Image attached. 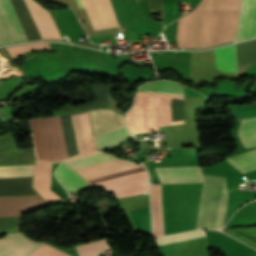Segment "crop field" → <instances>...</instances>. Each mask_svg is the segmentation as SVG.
<instances>
[{"label":"crop field","mask_w":256,"mask_h":256,"mask_svg":"<svg viewBox=\"0 0 256 256\" xmlns=\"http://www.w3.org/2000/svg\"><path fill=\"white\" fill-rule=\"evenodd\" d=\"M202 0L180 18L178 47L205 48L234 41L240 0ZM223 4V9H222ZM219 10L232 12L204 11Z\"/></svg>","instance_id":"8a807250"},{"label":"crop field","mask_w":256,"mask_h":256,"mask_svg":"<svg viewBox=\"0 0 256 256\" xmlns=\"http://www.w3.org/2000/svg\"><path fill=\"white\" fill-rule=\"evenodd\" d=\"M42 38L61 39L47 10L24 0ZM23 0H11L28 39L41 38ZM10 0H0V44L28 41Z\"/></svg>","instance_id":"ac0d7876"},{"label":"crop field","mask_w":256,"mask_h":256,"mask_svg":"<svg viewBox=\"0 0 256 256\" xmlns=\"http://www.w3.org/2000/svg\"><path fill=\"white\" fill-rule=\"evenodd\" d=\"M30 133L37 159L60 162L68 158L59 116L28 119Z\"/></svg>","instance_id":"34b2d1b8"},{"label":"crop field","mask_w":256,"mask_h":256,"mask_svg":"<svg viewBox=\"0 0 256 256\" xmlns=\"http://www.w3.org/2000/svg\"><path fill=\"white\" fill-rule=\"evenodd\" d=\"M202 178L203 187L196 229H215L223 178L204 174H202ZM227 199L224 178L216 229L223 226Z\"/></svg>","instance_id":"412701ff"},{"label":"crop field","mask_w":256,"mask_h":256,"mask_svg":"<svg viewBox=\"0 0 256 256\" xmlns=\"http://www.w3.org/2000/svg\"><path fill=\"white\" fill-rule=\"evenodd\" d=\"M164 256H207L204 230L164 236L156 240Z\"/></svg>","instance_id":"f4fd0767"},{"label":"crop field","mask_w":256,"mask_h":256,"mask_svg":"<svg viewBox=\"0 0 256 256\" xmlns=\"http://www.w3.org/2000/svg\"><path fill=\"white\" fill-rule=\"evenodd\" d=\"M72 117L80 153L95 149L88 112ZM72 117L60 116L69 157L79 154Z\"/></svg>","instance_id":"dd49c442"},{"label":"crop field","mask_w":256,"mask_h":256,"mask_svg":"<svg viewBox=\"0 0 256 256\" xmlns=\"http://www.w3.org/2000/svg\"><path fill=\"white\" fill-rule=\"evenodd\" d=\"M34 165L0 167V177L33 176ZM33 177L0 178V197L39 195Z\"/></svg>","instance_id":"e52e79f7"},{"label":"crop field","mask_w":256,"mask_h":256,"mask_svg":"<svg viewBox=\"0 0 256 256\" xmlns=\"http://www.w3.org/2000/svg\"><path fill=\"white\" fill-rule=\"evenodd\" d=\"M144 170V166L119 159L75 171L92 184Z\"/></svg>","instance_id":"d8731c3e"},{"label":"crop field","mask_w":256,"mask_h":256,"mask_svg":"<svg viewBox=\"0 0 256 256\" xmlns=\"http://www.w3.org/2000/svg\"><path fill=\"white\" fill-rule=\"evenodd\" d=\"M102 186L108 193L114 192L115 197H125L148 193V174L146 171L92 184Z\"/></svg>","instance_id":"5a996713"},{"label":"crop field","mask_w":256,"mask_h":256,"mask_svg":"<svg viewBox=\"0 0 256 256\" xmlns=\"http://www.w3.org/2000/svg\"><path fill=\"white\" fill-rule=\"evenodd\" d=\"M241 137L256 136V118L242 120L240 126ZM246 148L256 147V137L242 139ZM227 161L239 169L242 173L256 169V149L250 152L232 157Z\"/></svg>","instance_id":"3316defc"},{"label":"crop field","mask_w":256,"mask_h":256,"mask_svg":"<svg viewBox=\"0 0 256 256\" xmlns=\"http://www.w3.org/2000/svg\"><path fill=\"white\" fill-rule=\"evenodd\" d=\"M76 1L79 8H85L95 30L101 29L104 27L108 28V27L118 26L109 0H95L99 13L102 18L104 27H103V24L94 0H76Z\"/></svg>","instance_id":"28ad6ade"},{"label":"crop field","mask_w":256,"mask_h":256,"mask_svg":"<svg viewBox=\"0 0 256 256\" xmlns=\"http://www.w3.org/2000/svg\"><path fill=\"white\" fill-rule=\"evenodd\" d=\"M34 162L32 150H18L10 131L0 136V166Z\"/></svg>","instance_id":"d1516ede"},{"label":"crop field","mask_w":256,"mask_h":256,"mask_svg":"<svg viewBox=\"0 0 256 256\" xmlns=\"http://www.w3.org/2000/svg\"><path fill=\"white\" fill-rule=\"evenodd\" d=\"M44 242H35L21 233H7L0 239V256H26Z\"/></svg>","instance_id":"22f410ed"},{"label":"crop field","mask_w":256,"mask_h":256,"mask_svg":"<svg viewBox=\"0 0 256 256\" xmlns=\"http://www.w3.org/2000/svg\"><path fill=\"white\" fill-rule=\"evenodd\" d=\"M256 38V0H242L236 41Z\"/></svg>","instance_id":"cbeb9de0"},{"label":"crop field","mask_w":256,"mask_h":256,"mask_svg":"<svg viewBox=\"0 0 256 256\" xmlns=\"http://www.w3.org/2000/svg\"><path fill=\"white\" fill-rule=\"evenodd\" d=\"M161 183L202 182L200 167L155 168Z\"/></svg>","instance_id":"5142ce71"},{"label":"crop field","mask_w":256,"mask_h":256,"mask_svg":"<svg viewBox=\"0 0 256 256\" xmlns=\"http://www.w3.org/2000/svg\"><path fill=\"white\" fill-rule=\"evenodd\" d=\"M52 163L36 159L34 171L33 187L48 202L59 199L57 195L50 191V173Z\"/></svg>","instance_id":"d9b57169"},{"label":"crop field","mask_w":256,"mask_h":256,"mask_svg":"<svg viewBox=\"0 0 256 256\" xmlns=\"http://www.w3.org/2000/svg\"><path fill=\"white\" fill-rule=\"evenodd\" d=\"M94 136L124 124L122 116L109 110L89 111Z\"/></svg>","instance_id":"733c2abd"},{"label":"crop field","mask_w":256,"mask_h":256,"mask_svg":"<svg viewBox=\"0 0 256 256\" xmlns=\"http://www.w3.org/2000/svg\"><path fill=\"white\" fill-rule=\"evenodd\" d=\"M132 134V133H131ZM126 124L119 126L115 129L95 136L96 147L99 150H104L108 147L116 145L120 142L132 138Z\"/></svg>","instance_id":"4a817a6b"},{"label":"crop field","mask_w":256,"mask_h":256,"mask_svg":"<svg viewBox=\"0 0 256 256\" xmlns=\"http://www.w3.org/2000/svg\"><path fill=\"white\" fill-rule=\"evenodd\" d=\"M216 69L238 73L235 45L215 49Z\"/></svg>","instance_id":"bc2a9ffb"},{"label":"crop field","mask_w":256,"mask_h":256,"mask_svg":"<svg viewBox=\"0 0 256 256\" xmlns=\"http://www.w3.org/2000/svg\"><path fill=\"white\" fill-rule=\"evenodd\" d=\"M137 91L185 96L183 86L165 80L147 82Z\"/></svg>","instance_id":"214f88e0"},{"label":"crop field","mask_w":256,"mask_h":256,"mask_svg":"<svg viewBox=\"0 0 256 256\" xmlns=\"http://www.w3.org/2000/svg\"><path fill=\"white\" fill-rule=\"evenodd\" d=\"M97 102L85 103L80 105H75L73 108L76 112L91 110L95 108H108L107 96L112 95L113 87L108 84H99L91 86Z\"/></svg>","instance_id":"92a150f3"},{"label":"crop field","mask_w":256,"mask_h":256,"mask_svg":"<svg viewBox=\"0 0 256 256\" xmlns=\"http://www.w3.org/2000/svg\"><path fill=\"white\" fill-rule=\"evenodd\" d=\"M55 175L60 184L65 188L67 192L81 189L88 186L78 175L70 170L64 164H61L55 172Z\"/></svg>","instance_id":"dafd665d"},{"label":"crop field","mask_w":256,"mask_h":256,"mask_svg":"<svg viewBox=\"0 0 256 256\" xmlns=\"http://www.w3.org/2000/svg\"><path fill=\"white\" fill-rule=\"evenodd\" d=\"M115 159H119V158H115V157L106 155L102 152H99V153L71 159L63 163L69 165L73 170H75V169H79V168H83V167H87V166H91V165H95V164H99V163H103V162H107Z\"/></svg>","instance_id":"00972430"},{"label":"crop field","mask_w":256,"mask_h":256,"mask_svg":"<svg viewBox=\"0 0 256 256\" xmlns=\"http://www.w3.org/2000/svg\"><path fill=\"white\" fill-rule=\"evenodd\" d=\"M238 64L256 63V40L236 44Z\"/></svg>","instance_id":"a9b5d70f"},{"label":"crop field","mask_w":256,"mask_h":256,"mask_svg":"<svg viewBox=\"0 0 256 256\" xmlns=\"http://www.w3.org/2000/svg\"><path fill=\"white\" fill-rule=\"evenodd\" d=\"M107 245L103 240L76 246L79 256H98L104 249H107Z\"/></svg>","instance_id":"4177f3b9"},{"label":"crop field","mask_w":256,"mask_h":256,"mask_svg":"<svg viewBox=\"0 0 256 256\" xmlns=\"http://www.w3.org/2000/svg\"><path fill=\"white\" fill-rule=\"evenodd\" d=\"M13 61L17 59L23 53L33 50V49H44L48 50V43H36V44H27V45H19V46H11L6 47Z\"/></svg>","instance_id":"730fd06b"},{"label":"crop field","mask_w":256,"mask_h":256,"mask_svg":"<svg viewBox=\"0 0 256 256\" xmlns=\"http://www.w3.org/2000/svg\"><path fill=\"white\" fill-rule=\"evenodd\" d=\"M28 256H70V255L43 244Z\"/></svg>","instance_id":"eef30255"},{"label":"crop field","mask_w":256,"mask_h":256,"mask_svg":"<svg viewBox=\"0 0 256 256\" xmlns=\"http://www.w3.org/2000/svg\"><path fill=\"white\" fill-rule=\"evenodd\" d=\"M236 119L256 116V103L251 106L230 108Z\"/></svg>","instance_id":"ae1a2a85"},{"label":"crop field","mask_w":256,"mask_h":256,"mask_svg":"<svg viewBox=\"0 0 256 256\" xmlns=\"http://www.w3.org/2000/svg\"><path fill=\"white\" fill-rule=\"evenodd\" d=\"M18 217L0 218V231L15 230Z\"/></svg>","instance_id":"d3111659"},{"label":"crop field","mask_w":256,"mask_h":256,"mask_svg":"<svg viewBox=\"0 0 256 256\" xmlns=\"http://www.w3.org/2000/svg\"><path fill=\"white\" fill-rule=\"evenodd\" d=\"M59 110L61 111L62 114H72V113H75V111L73 110V108L70 105L63 106V107L59 108Z\"/></svg>","instance_id":"750c4746"}]
</instances>
